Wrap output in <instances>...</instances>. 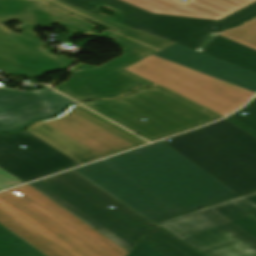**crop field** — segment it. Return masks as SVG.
Masks as SVG:
<instances>
[{
	"mask_svg": "<svg viewBox=\"0 0 256 256\" xmlns=\"http://www.w3.org/2000/svg\"><path fill=\"white\" fill-rule=\"evenodd\" d=\"M158 225L206 256H256V192Z\"/></svg>",
	"mask_w": 256,
	"mask_h": 256,
	"instance_id": "crop-field-5",
	"label": "crop field"
},
{
	"mask_svg": "<svg viewBox=\"0 0 256 256\" xmlns=\"http://www.w3.org/2000/svg\"><path fill=\"white\" fill-rule=\"evenodd\" d=\"M127 70L223 116L244 105L255 94L154 55Z\"/></svg>",
	"mask_w": 256,
	"mask_h": 256,
	"instance_id": "crop-field-9",
	"label": "crop field"
},
{
	"mask_svg": "<svg viewBox=\"0 0 256 256\" xmlns=\"http://www.w3.org/2000/svg\"><path fill=\"white\" fill-rule=\"evenodd\" d=\"M243 112L248 114L242 116L240 113ZM227 118L256 135V98L242 110Z\"/></svg>",
	"mask_w": 256,
	"mask_h": 256,
	"instance_id": "crop-field-21",
	"label": "crop field"
},
{
	"mask_svg": "<svg viewBox=\"0 0 256 256\" xmlns=\"http://www.w3.org/2000/svg\"><path fill=\"white\" fill-rule=\"evenodd\" d=\"M166 140L238 194L256 190V137L229 121L224 119Z\"/></svg>",
	"mask_w": 256,
	"mask_h": 256,
	"instance_id": "crop-field-6",
	"label": "crop field"
},
{
	"mask_svg": "<svg viewBox=\"0 0 256 256\" xmlns=\"http://www.w3.org/2000/svg\"><path fill=\"white\" fill-rule=\"evenodd\" d=\"M154 55L256 93V73L174 44Z\"/></svg>",
	"mask_w": 256,
	"mask_h": 256,
	"instance_id": "crop-field-14",
	"label": "crop field"
},
{
	"mask_svg": "<svg viewBox=\"0 0 256 256\" xmlns=\"http://www.w3.org/2000/svg\"><path fill=\"white\" fill-rule=\"evenodd\" d=\"M79 165L82 164L27 131L0 134V167L25 183Z\"/></svg>",
	"mask_w": 256,
	"mask_h": 256,
	"instance_id": "crop-field-11",
	"label": "crop field"
},
{
	"mask_svg": "<svg viewBox=\"0 0 256 256\" xmlns=\"http://www.w3.org/2000/svg\"><path fill=\"white\" fill-rule=\"evenodd\" d=\"M116 24L126 26L197 50L212 34L235 27L256 16V2L220 20H205L148 13L120 0H61ZM118 10L116 17H104L97 7ZM253 19V18H252ZM216 35V34H215ZM206 54L256 72V50L217 35L203 47Z\"/></svg>",
	"mask_w": 256,
	"mask_h": 256,
	"instance_id": "crop-field-3",
	"label": "crop field"
},
{
	"mask_svg": "<svg viewBox=\"0 0 256 256\" xmlns=\"http://www.w3.org/2000/svg\"><path fill=\"white\" fill-rule=\"evenodd\" d=\"M166 256H204L188 245L168 233L160 226H156L143 240Z\"/></svg>",
	"mask_w": 256,
	"mask_h": 256,
	"instance_id": "crop-field-18",
	"label": "crop field"
},
{
	"mask_svg": "<svg viewBox=\"0 0 256 256\" xmlns=\"http://www.w3.org/2000/svg\"><path fill=\"white\" fill-rule=\"evenodd\" d=\"M42 180L137 244L156 225L73 170Z\"/></svg>",
	"mask_w": 256,
	"mask_h": 256,
	"instance_id": "crop-field-10",
	"label": "crop field"
},
{
	"mask_svg": "<svg viewBox=\"0 0 256 256\" xmlns=\"http://www.w3.org/2000/svg\"><path fill=\"white\" fill-rule=\"evenodd\" d=\"M47 4H49L53 7H56L60 10H63V11H65L69 14H72L74 16H77L79 18H82V19H85V20L90 21L92 23H95L97 25H100L104 28H107V29L113 31V32H116V33L121 34L123 36H126L128 38H131L133 40H136V41H138L142 44H145L149 47H152V48H154L158 51L174 44V43H171V42H168V41H165V40H162V39H159V38H156V37H153V36H150V35H147V34H144V33L129 29V28H126V27L116 25V24L111 23L107 20L99 18L95 15L87 13L83 10L75 8L71 5L60 2L58 0H51Z\"/></svg>",
	"mask_w": 256,
	"mask_h": 256,
	"instance_id": "crop-field-17",
	"label": "crop field"
},
{
	"mask_svg": "<svg viewBox=\"0 0 256 256\" xmlns=\"http://www.w3.org/2000/svg\"><path fill=\"white\" fill-rule=\"evenodd\" d=\"M44 4L34 1L11 19L41 27L63 25L83 34L107 37L123 49V56L100 67L80 64L69 72L73 75L64 84L54 89L77 101H84L97 98L115 99L132 93L137 86H156L125 69L158 51L111 31H104L100 35L88 33L96 26Z\"/></svg>",
	"mask_w": 256,
	"mask_h": 256,
	"instance_id": "crop-field-4",
	"label": "crop field"
},
{
	"mask_svg": "<svg viewBox=\"0 0 256 256\" xmlns=\"http://www.w3.org/2000/svg\"><path fill=\"white\" fill-rule=\"evenodd\" d=\"M32 186H34L36 189L44 193L46 196L54 200L56 203L64 207L66 210L104 234L105 236L109 237L113 241H115L117 244H119L121 247L126 249L127 251H131L137 244L90 214L88 211L44 183L43 181L39 180L34 183H30ZM30 185V186H31Z\"/></svg>",
	"mask_w": 256,
	"mask_h": 256,
	"instance_id": "crop-field-16",
	"label": "crop field"
},
{
	"mask_svg": "<svg viewBox=\"0 0 256 256\" xmlns=\"http://www.w3.org/2000/svg\"><path fill=\"white\" fill-rule=\"evenodd\" d=\"M43 90H10L0 84V133L23 131L37 120L56 116L76 102L42 85Z\"/></svg>",
	"mask_w": 256,
	"mask_h": 256,
	"instance_id": "crop-field-13",
	"label": "crop field"
},
{
	"mask_svg": "<svg viewBox=\"0 0 256 256\" xmlns=\"http://www.w3.org/2000/svg\"><path fill=\"white\" fill-rule=\"evenodd\" d=\"M74 170L156 224L239 196L162 141Z\"/></svg>",
	"mask_w": 256,
	"mask_h": 256,
	"instance_id": "crop-field-1",
	"label": "crop field"
},
{
	"mask_svg": "<svg viewBox=\"0 0 256 256\" xmlns=\"http://www.w3.org/2000/svg\"><path fill=\"white\" fill-rule=\"evenodd\" d=\"M0 222L47 256L129 253L29 184L0 194Z\"/></svg>",
	"mask_w": 256,
	"mask_h": 256,
	"instance_id": "crop-field-2",
	"label": "crop field"
},
{
	"mask_svg": "<svg viewBox=\"0 0 256 256\" xmlns=\"http://www.w3.org/2000/svg\"><path fill=\"white\" fill-rule=\"evenodd\" d=\"M74 60L52 54L29 30L18 34L0 23V71L35 77L71 67Z\"/></svg>",
	"mask_w": 256,
	"mask_h": 256,
	"instance_id": "crop-field-12",
	"label": "crop field"
},
{
	"mask_svg": "<svg viewBox=\"0 0 256 256\" xmlns=\"http://www.w3.org/2000/svg\"><path fill=\"white\" fill-rule=\"evenodd\" d=\"M27 131L82 164L147 143L79 104L62 117L36 123Z\"/></svg>",
	"mask_w": 256,
	"mask_h": 256,
	"instance_id": "crop-field-8",
	"label": "crop field"
},
{
	"mask_svg": "<svg viewBox=\"0 0 256 256\" xmlns=\"http://www.w3.org/2000/svg\"><path fill=\"white\" fill-rule=\"evenodd\" d=\"M0 256H46L0 224Z\"/></svg>",
	"mask_w": 256,
	"mask_h": 256,
	"instance_id": "crop-field-19",
	"label": "crop field"
},
{
	"mask_svg": "<svg viewBox=\"0 0 256 256\" xmlns=\"http://www.w3.org/2000/svg\"><path fill=\"white\" fill-rule=\"evenodd\" d=\"M82 104L151 142L222 118L161 87Z\"/></svg>",
	"mask_w": 256,
	"mask_h": 256,
	"instance_id": "crop-field-7",
	"label": "crop field"
},
{
	"mask_svg": "<svg viewBox=\"0 0 256 256\" xmlns=\"http://www.w3.org/2000/svg\"><path fill=\"white\" fill-rule=\"evenodd\" d=\"M31 2L30 0H0V20L7 21Z\"/></svg>",
	"mask_w": 256,
	"mask_h": 256,
	"instance_id": "crop-field-22",
	"label": "crop field"
},
{
	"mask_svg": "<svg viewBox=\"0 0 256 256\" xmlns=\"http://www.w3.org/2000/svg\"><path fill=\"white\" fill-rule=\"evenodd\" d=\"M220 35L256 49V19Z\"/></svg>",
	"mask_w": 256,
	"mask_h": 256,
	"instance_id": "crop-field-20",
	"label": "crop field"
},
{
	"mask_svg": "<svg viewBox=\"0 0 256 256\" xmlns=\"http://www.w3.org/2000/svg\"><path fill=\"white\" fill-rule=\"evenodd\" d=\"M122 1L152 13L219 20L256 0H187L185 2L180 0Z\"/></svg>",
	"mask_w": 256,
	"mask_h": 256,
	"instance_id": "crop-field-15",
	"label": "crop field"
},
{
	"mask_svg": "<svg viewBox=\"0 0 256 256\" xmlns=\"http://www.w3.org/2000/svg\"><path fill=\"white\" fill-rule=\"evenodd\" d=\"M20 184L24 183L0 168V191Z\"/></svg>",
	"mask_w": 256,
	"mask_h": 256,
	"instance_id": "crop-field-23",
	"label": "crop field"
},
{
	"mask_svg": "<svg viewBox=\"0 0 256 256\" xmlns=\"http://www.w3.org/2000/svg\"><path fill=\"white\" fill-rule=\"evenodd\" d=\"M145 248L146 250L142 251L139 248ZM129 256H164L145 242H141Z\"/></svg>",
	"mask_w": 256,
	"mask_h": 256,
	"instance_id": "crop-field-24",
	"label": "crop field"
}]
</instances>
